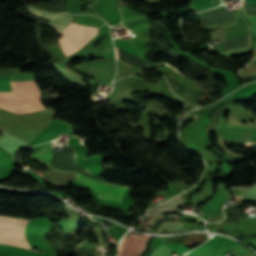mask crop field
I'll return each instance as SVG.
<instances>
[{
    "mask_svg": "<svg viewBox=\"0 0 256 256\" xmlns=\"http://www.w3.org/2000/svg\"><path fill=\"white\" fill-rule=\"evenodd\" d=\"M29 11L38 15L50 18L48 25L60 31L62 34L73 24L74 18L58 15H49L29 7ZM98 28L73 24L60 38V47L65 56L73 53L87 42H89L97 33Z\"/></svg>",
    "mask_w": 256,
    "mask_h": 256,
    "instance_id": "8a807250",
    "label": "crop field"
},
{
    "mask_svg": "<svg viewBox=\"0 0 256 256\" xmlns=\"http://www.w3.org/2000/svg\"><path fill=\"white\" fill-rule=\"evenodd\" d=\"M50 145H51V143L44 145L38 151L34 152L31 155V157L40 161L41 163L47 164L48 157H49V151H50ZM53 147H54V145H53ZM74 180L91 186L95 190L99 199L109 200V201H113V202H117V203H120L122 195L126 189L125 187L103 183V182H100V181H97V180H94V179H91V178H88V177H85V176H82L79 174H76V179H74Z\"/></svg>",
    "mask_w": 256,
    "mask_h": 256,
    "instance_id": "34b2d1b8",
    "label": "crop field"
},
{
    "mask_svg": "<svg viewBox=\"0 0 256 256\" xmlns=\"http://www.w3.org/2000/svg\"><path fill=\"white\" fill-rule=\"evenodd\" d=\"M249 21L252 23V31L254 36H256V16L247 17Z\"/></svg>",
    "mask_w": 256,
    "mask_h": 256,
    "instance_id": "f4fd0767",
    "label": "crop field"
},
{
    "mask_svg": "<svg viewBox=\"0 0 256 256\" xmlns=\"http://www.w3.org/2000/svg\"><path fill=\"white\" fill-rule=\"evenodd\" d=\"M29 220L15 217L0 216V229L22 231ZM0 230V243L13 244L30 249L22 232Z\"/></svg>",
    "mask_w": 256,
    "mask_h": 256,
    "instance_id": "412701ff",
    "label": "crop field"
},
{
    "mask_svg": "<svg viewBox=\"0 0 256 256\" xmlns=\"http://www.w3.org/2000/svg\"><path fill=\"white\" fill-rule=\"evenodd\" d=\"M133 30H134V29H133ZM134 33H135V31H134ZM135 36L137 37L136 33H135Z\"/></svg>",
    "mask_w": 256,
    "mask_h": 256,
    "instance_id": "e52e79f7",
    "label": "crop field"
},
{
    "mask_svg": "<svg viewBox=\"0 0 256 256\" xmlns=\"http://www.w3.org/2000/svg\"><path fill=\"white\" fill-rule=\"evenodd\" d=\"M117 30V29H116Z\"/></svg>",
    "mask_w": 256,
    "mask_h": 256,
    "instance_id": "d8731c3e",
    "label": "crop field"
},
{
    "mask_svg": "<svg viewBox=\"0 0 256 256\" xmlns=\"http://www.w3.org/2000/svg\"><path fill=\"white\" fill-rule=\"evenodd\" d=\"M115 53H116V58L119 59V58H118V52H117L116 49H115Z\"/></svg>",
    "mask_w": 256,
    "mask_h": 256,
    "instance_id": "dd49c442",
    "label": "crop field"
},
{
    "mask_svg": "<svg viewBox=\"0 0 256 256\" xmlns=\"http://www.w3.org/2000/svg\"><path fill=\"white\" fill-rule=\"evenodd\" d=\"M11 93H0V107L17 113L43 109L34 81L10 82Z\"/></svg>",
    "mask_w": 256,
    "mask_h": 256,
    "instance_id": "ac0d7876",
    "label": "crop field"
}]
</instances>
